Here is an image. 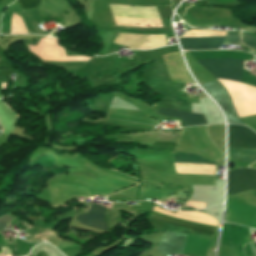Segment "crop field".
<instances>
[{"mask_svg":"<svg viewBox=\"0 0 256 256\" xmlns=\"http://www.w3.org/2000/svg\"><path fill=\"white\" fill-rule=\"evenodd\" d=\"M215 78L241 82L244 61L235 59L197 60Z\"/></svg>","mask_w":256,"mask_h":256,"instance_id":"crop-field-2","label":"crop field"},{"mask_svg":"<svg viewBox=\"0 0 256 256\" xmlns=\"http://www.w3.org/2000/svg\"><path fill=\"white\" fill-rule=\"evenodd\" d=\"M136 201H137V198H136Z\"/></svg>","mask_w":256,"mask_h":256,"instance_id":"crop-field-17","label":"crop field"},{"mask_svg":"<svg viewBox=\"0 0 256 256\" xmlns=\"http://www.w3.org/2000/svg\"><path fill=\"white\" fill-rule=\"evenodd\" d=\"M149 218L153 219V220L167 222V223L179 226V227L187 228L190 234L209 238V239H212V237L217 229L215 227H211V226L198 224V223L182 220L179 218L167 216V215L155 212L153 210H152Z\"/></svg>","mask_w":256,"mask_h":256,"instance_id":"crop-field-4","label":"crop field"},{"mask_svg":"<svg viewBox=\"0 0 256 256\" xmlns=\"http://www.w3.org/2000/svg\"><path fill=\"white\" fill-rule=\"evenodd\" d=\"M105 211L106 208L91 204L89 212L87 214H79L75 220L81 225L106 232L108 226L105 219Z\"/></svg>","mask_w":256,"mask_h":256,"instance_id":"crop-field-7","label":"crop field"},{"mask_svg":"<svg viewBox=\"0 0 256 256\" xmlns=\"http://www.w3.org/2000/svg\"><path fill=\"white\" fill-rule=\"evenodd\" d=\"M63 52H64V56H66L64 49H63Z\"/></svg>","mask_w":256,"mask_h":256,"instance_id":"crop-field-16","label":"crop field"},{"mask_svg":"<svg viewBox=\"0 0 256 256\" xmlns=\"http://www.w3.org/2000/svg\"><path fill=\"white\" fill-rule=\"evenodd\" d=\"M109 6L113 16L160 18L156 7Z\"/></svg>","mask_w":256,"mask_h":256,"instance_id":"crop-field-8","label":"crop field"},{"mask_svg":"<svg viewBox=\"0 0 256 256\" xmlns=\"http://www.w3.org/2000/svg\"><path fill=\"white\" fill-rule=\"evenodd\" d=\"M225 36L179 38L183 50L217 49Z\"/></svg>","mask_w":256,"mask_h":256,"instance_id":"crop-field-9","label":"crop field"},{"mask_svg":"<svg viewBox=\"0 0 256 256\" xmlns=\"http://www.w3.org/2000/svg\"><path fill=\"white\" fill-rule=\"evenodd\" d=\"M17 2L24 9H37L41 0H17Z\"/></svg>","mask_w":256,"mask_h":256,"instance_id":"crop-field-13","label":"crop field"},{"mask_svg":"<svg viewBox=\"0 0 256 256\" xmlns=\"http://www.w3.org/2000/svg\"><path fill=\"white\" fill-rule=\"evenodd\" d=\"M158 114L182 118L183 126L207 124L203 115L160 108Z\"/></svg>","mask_w":256,"mask_h":256,"instance_id":"crop-field-10","label":"crop field"},{"mask_svg":"<svg viewBox=\"0 0 256 256\" xmlns=\"http://www.w3.org/2000/svg\"><path fill=\"white\" fill-rule=\"evenodd\" d=\"M242 82L256 86V76L248 75L247 71H244Z\"/></svg>","mask_w":256,"mask_h":256,"instance_id":"crop-field-14","label":"crop field"},{"mask_svg":"<svg viewBox=\"0 0 256 256\" xmlns=\"http://www.w3.org/2000/svg\"><path fill=\"white\" fill-rule=\"evenodd\" d=\"M228 147L256 148V133L245 126L228 125Z\"/></svg>","mask_w":256,"mask_h":256,"instance_id":"crop-field-6","label":"crop field"},{"mask_svg":"<svg viewBox=\"0 0 256 256\" xmlns=\"http://www.w3.org/2000/svg\"><path fill=\"white\" fill-rule=\"evenodd\" d=\"M223 44H240L256 48V37L249 36L245 33L228 32ZM254 52H256V49Z\"/></svg>","mask_w":256,"mask_h":256,"instance_id":"crop-field-11","label":"crop field"},{"mask_svg":"<svg viewBox=\"0 0 256 256\" xmlns=\"http://www.w3.org/2000/svg\"><path fill=\"white\" fill-rule=\"evenodd\" d=\"M203 87L207 89L220 104L227 117L228 123L244 124L237 118L227 92L216 80L203 84Z\"/></svg>","mask_w":256,"mask_h":256,"instance_id":"crop-field-5","label":"crop field"},{"mask_svg":"<svg viewBox=\"0 0 256 256\" xmlns=\"http://www.w3.org/2000/svg\"><path fill=\"white\" fill-rule=\"evenodd\" d=\"M186 236V234L165 232L156 250L162 254H181ZM210 241L209 239L188 235L182 254L206 256Z\"/></svg>","mask_w":256,"mask_h":256,"instance_id":"crop-field-1","label":"crop field"},{"mask_svg":"<svg viewBox=\"0 0 256 256\" xmlns=\"http://www.w3.org/2000/svg\"><path fill=\"white\" fill-rule=\"evenodd\" d=\"M256 189V169H242L228 172V194L233 195Z\"/></svg>","mask_w":256,"mask_h":256,"instance_id":"crop-field-3","label":"crop field"},{"mask_svg":"<svg viewBox=\"0 0 256 256\" xmlns=\"http://www.w3.org/2000/svg\"><path fill=\"white\" fill-rule=\"evenodd\" d=\"M10 220L12 219L7 215L0 217V231L6 227Z\"/></svg>","mask_w":256,"mask_h":256,"instance_id":"crop-field-15","label":"crop field"},{"mask_svg":"<svg viewBox=\"0 0 256 256\" xmlns=\"http://www.w3.org/2000/svg\"><path fill=\"white\" fill-rule=\"evenodd\" d=\"M175 162H185V163H205V164H215L212 161L204 160L199 156L188 154V153H179L173 151Z\"/></svg>","mask_w":256,"mask_h":256,"instance_id":"crop-field-12","label":"crop field"}]
</instances>
